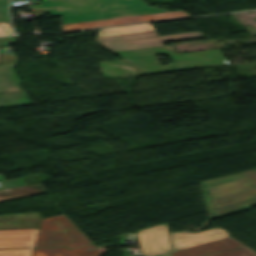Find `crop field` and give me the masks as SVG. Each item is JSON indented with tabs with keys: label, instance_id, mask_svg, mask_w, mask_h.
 Returning <instances> with one entry per match:
<instances>
[{
	"label": "crop field",
	"instance_id": "3316defc",
	"mask_svg": "<svg viewBox=\"0 0 256 256\" xmlns=\"http://www.w3.org/2000/svg\"><path fill=\"white\" fill-rule=\"evenodd\" d=\"M39 229L0 231V249L33 248Z\"/></svg>",
	"mask_w": 256,
	"mask_h": 256
},
{
	"label": "crop field",
	"instance_id": "d9b57169",
	"mask_svg": "<svg viewBox=\"0 0 256 256\" xmlns=\"http://www.w3.org/2000/svg\"><path fill=\"white\" fill-rule=\"evenodd\" d=\"M31 249L0 250V256H30Z\"/></svg>",
	"mask_w": 256,
	"mask_h": 256
},
{
	"label": "crop field",
	"instance_id": "d1516ede",
	"mask_svg": "<svg viewBox=\"0 0 256 256\" xmlns=\"http://www.w3.org/2000/svg\"><path fill=\"white\" fill-rule=\"evenodd\" d=\"M46 192L41 183L0 191V201Z\"/></svg>",
	"mask_w": 256,
	"mask_h": 256
},
{
	"label": "crop field",
	"instance_id": "ac0d7876",
	"mask_svg": "<svg viewBox=\"0 0 256 256\" xmlns=\"http://www.w3.org/2000/svg\"><path fill=\"white\" fill-rule=\"evenodd\" d=\"M210 219L256 205V169L199 182Z\"/></svg>",
	"mask_w": 256,
	"mask_h": 256
},
{
	"label": "crop field",
	"instance_id": "cbeb9de0",
	"mask_svg": "<svg viewBox=\"0 0 256 256\" xmlns=\"http://www.w3.org/2000/svg\"><path fill=\"white\" fill-rule=\"evenodd\" d=\"M153 30L150 24L100 29L97 37Z\"/></svg>",
	"mask_w": 256,
	"mask_h": 256
},
{
	"label": "crop field",
	"instance_id": "92a150f3",
	"mask_svg": "<svg viewBox=\"0 0 256 256\" xmlns=\"http://www.w3.org/2000/svg\"><path fill=\"white\" fill-rule=\"evenodd\" d=\"M159 256H171V253H167V254H163V255H159Z\"/></svg>",
	"mask_w": 256,
	"mask_h": 256
},
{
	"label": "crop field",
	"instance_id": "f4fd0767",
	"mask_svg": "<svg viewBox=\"0 0 256 256\" xmlns=\"http://www.w3.org/2000/svg\"><path fill=\"white\" fill-rule=\"evenodd\" d=\"M202 37L199 31L157 37L154 31L96 38L110 51L162 45L161 42Z\"/></svg>",
	"mask_w": 256,
	"mask_h": 256
},
{
	"label": "crop field",
	"instance_id": "4a817a6b",
	"mask_svg": "<svg viewBox=\"0 0 256 256\" xmlns=\"http://www.w3.org/2000/svg\"><path fill=\"white\" fill-rule=\"evenodd\" d=\"M74 254L76 256H99L100 255L97 249L75 252Z\"/></svg>",
	"mask_w": 256,
	"mask_h": 256
},
{
	"label": "crop field",
	"instance_id": "733c2abd",
	"mask_svg": "<svg viewBox=\"0 0 256 256\" xmlns=\"http://www.w3.org/2000/svg\"><path fill=\"white\" fill-rule=\"evenodd\" d=\"M1 183L3 184L4 187L0 188V190L25 185L21 178L11 179L7 181H3Z\"/></svg>",
	"mask_w": 256,
	"mask_h": 256
},
{
	"label": "crop field",
	"instance_id": "412701ff",
	"mask_svg": "<svg viewBox=\"0 0 256 256\" xmlns=\"http://www.w3.org/2000/svg\"><path fill=\"white\" fill-rule=\"evenodd\" d=\"M90 243L86 236L63 215L43 219L34 247L67 246Z\"/></svg>",
	"mask_w": 256,
	"mask_h": 256
},
{
	"label": "crop field",
	"instance_id": "8a807250",
	"mask_svg": "<svg viewBox=\"0 0 256 256\" xmlns=\"http://www.w3.org/2000/svg\"><path fill=\"white\" fill-rule=\"evenodd\" d=\"M43 5L31 6L62 16V24L116 17L167 12L150 7L142 0H42Z\"/></svg>",
	"mask_w": 256,
	"mask_h": 256
},
{
	"label": "crop field",
	"instance_id": "dafd665d",
	"mask_svg": "<svg viewBox=\"0 0 256 256\" xmlns=\"http://www.w3.org/2000/svg\"><path fill=\"white\" fill-rule=\"evenodd\" d=\"M3 180H5V179H4L3 176L0 174V181H3Z\"/></svg>",
	"mask_w": 256,
	"mask_h": 256
},
{
	"label": "crop field",
	"instance_id": "28ad6ade",
	"mask_svg": "<svg viewBox=\"0 0 256 256\" xmlns=\"http://www.w3.org/2000/svg\"><path fill=\"white\" fill-rule=\"evenodd\" d=\"M100 69L105 79L132 76L136 74L137 69L128 65L122 60L99 62Z\"/></svg>",
	"mask_w": 256,
	"mask_h": 256
},
{
	"label": "crop field",
	"instance_id": "e52e79f7",
	"mask_svg": "<svg viewBox=\"0 0 256 256\" xmlns=\"http://www.w3.org/2000/svg\"><path fill=\"white\" fill-rule=\"evenodd\" d=\"M137 234L139 245L144 256H150L171 250L167 223L137 231Z\"/></svg>",
	"mask_w": 256,
	"mask_h": 256
},
{
	"label": "crop field",
	"instance_id": "214f88e0",
	"mask_svg": "<svg viewBox=\"0 0 256 256\" xmlns=\"http://www.w3.org/2000/svg\"><path fill=\"white\" fill-rule=\"evenodd\" d=\"M92 248H96V246L94 244H88V245H85V246H82V247L72 248V249H69V250L71 252H74V251H80V250H86V249H92Z\"/></svg>",
	"mask_w": 256,
	"mask_h": 256
},
{
	"label": "crop field",
	"instance_id": "22f410ed",
	"mask_svg": "<svg viewBox=\"0 0 256 256\" xmlns=\"http://www.w3.org/2000/svg\"><path fill=\"white\" fill-rule=\"evenodd\" d=\"M31 104L25 91L0 94V108L16 107Z\"/></svg>",
	"mask_w": 256,
	"mask_h": 256
},
{
	"label": "crop field",
	"instance_id": "5142ce71",
	"mask_svg": "<svg viewBox=\"0 0 256 256\" xmlns=\"http://www.w3.org/2000/svg\"><path fill=\"white\" fill-rule=\"evenodd\" d=\"M70 252L67 247L33 248L32 256H75Z\"/></svg>",
	"mask_w": 256,
	"mask_h": 256
},
{
	"label": "crop field",
	"instance_id": "bc2a9ffb",
	"mask_svg": "<svg viewBox=\"0 0 256 256\" xmlns=\"http://www.w3.org/2000/svg\"><path fill=\"white\" fill-rule=\"evenodd\" d=\"M13 33L7 22L0 23V35H6Z\"/></svg>",
	"mask_w": 256,
	"mask_h": 256
},
{
	"label": "crop field",
	"instance_id": "5a996713",
	"mask_svg": "<svg viewBox=\"0 0 256 256\" xmlns=\"http://www.w3.org/2000/svg\"><path fill=\"white\" fill-rule=\"evenodd\" d=\"M228 236L225 230L216 227L196 233H175L172 234V239L174 241L175 251Z\"/></svg>",
	"mask_w": 256,
	"mask_h": 256
},
{
	"label": "crop field",
	"instance_id": "dd49c442",
	"mask_svg": "<svg viewBox=\"0 0 256 256\" xmlns=\"http://www.w3.org/2000/svg\"><path fill=\"white\" fill-rule=\"evenodd\" d=\"M172 256H256L232 237L172 252Z\"/></svg>",
	"mask_w": 256,
	"mask_h": 256
},
{
	"label": "crop field",
	"instance_id": "d8731c3e",
	"mask_svg": "<svg viewBox=\"0 0 256 256\" xmlns=\"http://www.w3.org/2000/svg\"><path fill=\"white\" fill-rule=\"evenodd\" d=\"M185 16H188V15L183 10H180V11L159 13V14H150V15H142V16L117 18V19H108V20H100V21L66 24V25H62V28H63V31H67V30L101 27V26H109V25H118V24L160 20V19H168V18H177V17H185Z\"/></svg>",
	"mask_w": 256,
	"mask_h": 256
},
{
	"label": "crop field",
	"instance_id": "34b2d1b8",
	"mask_svg": "<svg viewBox=\"0 0 256 256\" xmlns=\"http://www.w3.org/2000/svg\"><path fill=\"white\" fill-rule=\"evenodd\" d=\"M139 68L137 75L228 65L219 50L176 54L171 45L113 52ZM165 53L173 62L159 64L154 54Z\"/></svg>",
	"mask_w": 256,
	"mask_h": 256
}]
</instances>
